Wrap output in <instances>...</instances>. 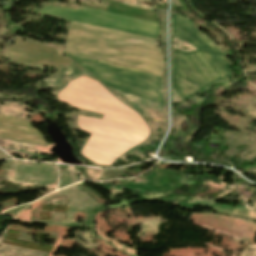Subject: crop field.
Segmentation results:
<instances>
[{
  "mask_svg": "<svg viewBox=\"0 0 256 256\" xmlns=\"http://www.w3.org/2000/svg\"><path fill=\"white\" fill-rule=\"evenodd\" d=\"M158 43L159 40L148 37L72 22L65 53L98 58L161 77L163 59Z\"/></svg>",
  "mask_w": 256,
  "mask_h": 256,
  "instance_id": "1",
  "label": "crop field"
},
{
  "mask_svg": "<svg viewBox=\"0 0 256 256\" xmlns=\"http://www.w3.org/2000/svg\"><path fill=\"white\" fill-rule=\"evenodd\" d=\"M68 56L107 86L163 104L160 77L127 67H116L102 61Z\"/></svg>",
  "mask_w": 256,
  "mask_h": 256,
  "instance_id": "3",
  "label": "crop field"
},
{
  "mask_svg": "<svg viewBox=\"0 0 256 256\" xmlns=\"http://www.w3.org/2000/svg\"><path fill=\"white\" fill-rule=\"evenodd\" d=\"M172 34L178 39L189 41L199 50L183 53L173 49L172 88L183 99L230 74L229 61L209 38L194 29L191 21L172 14Z\"/></svg>",
  "mask_w": 256,
  "mask_h": 256,
  "instance_id": "2",
  "label": "crop field"
},
{
  "mask_svg": "<svg viewBox=\"0 0 256 256\" xmlns=\"http://www.w3.org/2000/svg\"><path fill=\"white\" fill-rule=\"evenodd\" d=\"M38 15L80 22L158 39L159 24L81 7L79 10L46 6Z\"/></svg>",
  "mask_w": 256,
  "mask_h": 256,
  "instance_id": "4",
  "label": "crop field"
}]
</instances>
